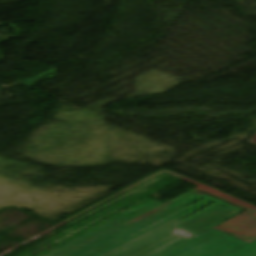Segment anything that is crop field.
<instances>
[{"mask_svg":"<svg viewBox=\"0 0 256 256\" xmlns=\"http://www.w3.org/2000/svg\"><path fill=\"white\" fill-rule=\"evenodd\" d=\"M221 203L194 189L165 204L152 200L44 256H256V241L249 244L214 228L193 239L171 230Z\"/></svg>","mask_w":256,"mask_h":256,"instance_id":"1","label":"crop field"},{"mask_svg":"<svg viewBox=\"0 0 256 256\" xmlns=\"http://www.w3.org/2000/svg\"><path fill=\"white\" fill-rule=\"evenodd\" d=\"M203 193L211 195L215 198L222 200L223 202L233 205L235 207L245 210L244 212L228 219L227 221L215 226L214 228L229 233L233 236L246 240L248 242H253L256 240V212L251 211L245 207H242L238 204H235L229 200H226L222 197H219L215 194H212L206 190H203L199 187L194 188Z\"/></svg>","mask_w":256,"mask_h":256,"instance_id":"2","label":"crop field"},{"mask_svg":"<svg viewBox=\"0 0 256 256\" xmlns=\"http://www.w3.org/2000/svg\"><path fill=\"white\" fill-rule=\"evenodd\" d=\"M223 206L226 207L221 208ZM242 211L241 209L223 203L176 228L196 236Z\"/></svg>","mask_w":256,"mask_h":256,"instance_id":"3","label":"crop field"}]
</instances>
